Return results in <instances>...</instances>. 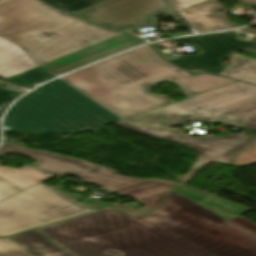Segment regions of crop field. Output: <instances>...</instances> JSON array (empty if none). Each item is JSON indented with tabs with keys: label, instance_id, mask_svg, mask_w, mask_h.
<instances>
[{
	"label": "crop field",
	"instance_id": "26",
	"mask_svg": "<svg viewBox=\"0 0 256 256\" xmlns=\"http://www.w3.org/2000/svg\"><path fill=\"white\" fill-rule=\"evenodd\" d=\"M231 222L243 227L244 229L256 234V225L243 219L242 217H237L235 219L230 220Z\"/></svg>",
	"mask_w": 256,
	"mask_h": 256
},
{
	"label": "crop field",
	"instance_id": "16",
	"mask_svg": "<svg viewBox=\"0 0 256 256\" xmlns=\"http://www.w3.org/2000/svg\"><path fill=\"white\" fill-rule=\"evenodd\" d=\"M0 177L14 184L21 190H25L47 178L54 176L44 174L27 166L16 170L0 166Z\"/></svg>",
	"mask_w": 256,
	"mask_h": 256
},
{
	"label": "crop field",
	"instance_id": "19",
	"mask_svg": "<svg viewBox=\"0 0 256 256\" xmlns=\"http://www.w3.org/2000/svg\"><path fill=\"white\" fill-rule=\"evenodd\" d=\"M55 76L51 75L50 73L46 72L41 67H35L27 72L19 74L17 76L9 78L10 80L16 81L26 87H33L36 84L49 80Z\"/></svg>",
	"mask_w": 256,
	"mask_h": 256
},
{
	"label": "crop field",
	"instance_id": "1",
	"mask_svg": "<svg viewBox=\"0 0 256 256\" xmlns=\"http://www.w3.org/2000/svg\"><path fill=\"white\" fill-rule=\"evenodd\" d=\"M249 210L183 185L147 216L105 209L41 230L76 256H256V236L228 221Z\"/></svg>",
	"mask_w": 256,
	"mask_h": 256
},
{
	"label": "crop field",
	"instance_id": "8",
	"mask_svg": "<svg viewBox=\"0 0 256 256\" xmlns=\"http://www.w3.org/2000/svg\"><path fill=\"white\" fill-rule=\"evenodd\" d=\"M116 124L143 135L175 143H183L193 148L198 153L199 157L193 163L189 174L177 178L184 184L188 182L194 173L208 161L230 164L236 154L256 140V136H244L239 134L194 138L182 134L179 130L175 129L157 128L127 123L124 121Z\"/></svg>",
	"mask_w": 256,
	"mask_h": 256
},
{
	"label": "crop field",
	"instance_id": "10",
	"mask_svg": "<svg viewBox=\"0 0 256 256\" xmlns=\"http://www.w3.org/2000/svg\"><path fill=\"white\" fill-rule=\"evenodd\" d=\"M139 44H142V42L129 35L121 34L103 43L95 44L60 59L41 65V67L58 76L90 62L111 56Z\"/></svg>",
	"mask_w": 256,
	"mask_h": 256
},
{
	"label": "crop field",
	"instance_id": "12",
	"mask_svg": "<svg viewBox=\"0 0 256 256\" xmlns=\"http://www.w3.org/2000/svg\"><path fill=\"white\" fill-rule=\"evenodd\" d=\"M218 10L224 9L216 0H210L182 11L180 14L198 33L230 28L226 12L220 14ZM205 12H209L210 15H204Z\"/></svg>",
	"mask_w": 256,
	"mask_h": 256
},
{
	"label": "crop field",
	"instance_id": "27",
	"mask_svg": "<svg viewBox=\"0 0 256 256\" xmlns=\"http://www.w3.org/2000/svg\"><path fill=\"white\" fill-rule=\"evenodd\" d=\"M62 183H64V182H60V183H58V184H56V185H54V186H52V187H53L54 189H56V190H58V191L64 193V194H66V195H68V196L74 198V199L77 200V201L86 199V197L79 196V195H76V194H72V193H70V192H68V191H63L64 187L61 186Z\"/></svg>",
	"mask_w": 256,
	"mask_h": 256
},
{
	"label": "crop field",
	"instance_id": "17",
	"mask_svg": "<svg viewBox=\"0 0 256 256\" xmlns=\"http://www.w3.org/2000/svg\"><path fill=\"white\" fill-rule=\"evenodd\" d=\"M233 65L221 73L220 76L233 78L256 84V60L233 55Z\"/></svg>",
	"mask_w": 256,
	"mask_h": 256
},
{
	"label": "crop field",
	"instance_id": "20",
	"mask_svg": "<svg viewBox=\"0 0 256 256\" xmlns=\"http://www.w3.org/2000/svg\"><path fill=\"white\" fill-rule=\"evenodd\" d=\"M54 7L73 13L88 6L101 3L107 0H44Z\"/></svg>",
	"mask_w": 256,
	"mask_h": 256
},
{
	"label": "crop field",
	"instance_id": "7",
	"mask_svg": "<svg viewBox=\"0 0 256 256\" xmlns=\"http://www.w3.org/2000/svg\"><path fill=\"white\" fill-rule=\"evenodd\" d=\"M253 105H256V85L237 82L125 120L170 127L189 120L209 121ZM159 115L168 120L156 119Z\"/></svg>",
	"mask_w": 256,
	"mask_h": 256
},
{
	"label": "crop field",
	"instance_id": "3",
	"mask_svg": "<svg viewBox=\"0 0 256 256\" xmlns=\"http://www.w3.org/2000/svg\"><path fill=\"white\" fill-rule=\"evenodd\" d=\"M118 34L39 0H0V35L18 44L38 66Z\"/></svg>",
	"mask_w": 256,
	"mask_h": 256
},
{
	"label": "crop field",
	"instance_id": "25",
	"mask_svg": "<svg viewBox=\"0 0 256 256\" xmlns=\"http://www.w3.org/2000/svg\"><path fill=\"white\" fill-rule=\"evenodd\" d=\"M172 5L178 10H183L207 0H169Z\"/></svg>",
	"mask_w": 256,
	"mask_h": 256
},
{
	"label": "crop field",
	"instance_id": "18",
	"mask_svg": "<svg viewBox=\"0 0 256 256\" xmlns=\"http://www.w3.org/2000/svg\"><path fill=\"white\" fill-rule=\"evenodd\" d=\"M212 122L256 131V107Z\"/></svg>",
	"mask_w": 256,
	"mask_h": 256
},
{
	"label": "crop field",
	"instance_id": "11",
	"mask_svg": "<svg viewBox=\"0 0 256 256\" xmlns=\"http://www.w3.org/2000/svg\"><path fill=\"white\" fill-rule=\"evenodd\" d=\"M175 41L187 43L197 49L205 50L226 59H230L233 53L240 49L256 51V42L238 40L235 31L175 39Z\"/></svg>",
	"mask_w": 256,
	"mask_h": 256
},
{
	"label": "crop field",
	"instance_id": "23",
	"mask_svg": "<svg viewBox=\"0 0 256 256\" xmlns=\"http://www.w3.org/2000/svg\"><path fill=\"white\" fill-rule=\"evenodd\" d=\"M14 185L0 179V201L20 192Z\"/></svg>",
	"mask_w": 256,
	"mask_h": 256
},
{
	"label": "crop field",
	"instance_id": "9",
	"mask_svg": "<svg viewBox=\"0 0 256 256\" xmlns=\"http://www.w3.org/2000/svg\"><path fill=\"white\" fill-rule=\"evenodd\" d=\"M167 5L163 0H111L75 14L104 27L131 33L134 28L156 26L158 14L179 23L178 16Z\"/></svg>",
	"mask_w": 256,
	"mask_h": 256
},
{
	"label": "crop field",
	"instance_id": "2",
	"mask_svg": "<svg viewBox=\"0 0 256 256\" xmlns=\"http://www.w3.org/2000/svg\"><path fill=\"white\" fill-rule=\"evenodd\" d=\"M62 79L123 119L173 103L164 95L149 93V88L165 81L181 86L188 98L235 82L182 72L147 45Z\"/></svg>",
	"mask_w": 256,
	"mask_h": 256
},
{
	"label": "crop field",
	"instance_id": "30",
	"mask_svg": "<svg viewBox=\"0 0 256 256\" xmlns=\"http://www.w3.org/2000/svg\"><path fill=\"white\" fill-rule=\"evenodd\" d=\"M166 42L172 43V44H174V45H177V44H182V43H178V42H175V41H170V40H168V41H166Z\"/></svg>",
	"mask_w": 256,
	"mask_h": 256
},
{
	"label": "crop field",
	"instance_id": "13",
	"mask_svg": "<svg viewBox=\"0 0 256 256\" xmlns=\"http://www.w3.org/2000/svg\"><path fill=\"white\" fill-rule=\"evenodd\" d=\"M35 66L19 46L0 36V78H9Z\"/></svg>",
	"mask_w": 256,
	"mask_h": 256
},
{
	"label": "crop field",
	"instance_id": "22",
	"mask_svg": "<svg viewBox=\"0 0 256 256\" xmlns=\"http://www.w3.org/2000/svg\"><path fill=\"white\" fill-rule=\"evenodd\" d=\"M256 162V143L239 154L232 165L245 166Z\"/></svg>",
	"mask_w": 256,
	"mask_h": 256
},
{
	"label": "crop field",
	"instance_id": "28",
	"mask_svg": "<svg viewBox=\"0 0 256 256\" xmlns=\"http://www.w3.org/2000/svg\"><path fill=\"white\" fill-rule=\"evenodd\" d=\"M85 205H87L88 207L92 208V209H99V208H103V207H107L109 206L108 204H105L103 202L94 200L92 198H90L88 201H86L85 203H83Z\"/></svg>",
	"mask_w": 256,
	"mask_h": 256
},
{
	"label": "crop field",
	"instance_id": "4",
	"mask_svg": "<svg viewBox=\"0 0 256 256\" xmlns=\"http://www.w3.org/2000/svg\"><path fill=\"white\" fill-rule=\"evenodd\" d=\"M118 120V117L63 81L53 80L11 108L5 118V126L10 129L4 130V134H79Z\"/></svg>",
	"mask_w": 256,
	"mask_h": 256
},
{
	"label": "crop field",
	"instance_id": "24",
	"mask_svg": "<svg viewBox=\"0 0 256 256\" xmlns=\"http://www.w3.org/2000/svg\"><path fill=\"white\" fill-rule=\"evenodd\" d=\"M20 93H15L8 90H3L0 88V115L2 111L5 109L7 104ZM14 100V99H13Z\"/></svg>",
	"mask_w": 256,
	"mask_h": 256
},
{
	"label": "crop field",
	"instance_id": "29",
	"mask_svg": "<svg viewBox=\"0 0 256 256\" xmlns=\"http://www.w3.org/2000/svg\"><path fill=\"white\" fill-rule=\"evenodd\" d=\"M243 2L246 5L255 6L256 7V0H237Z\"/></svg>",
	"mask_w": 256,
	"mask_h": 256
},
{
	"label": "crop field",
	"instance_id": "15",
	"mask_svg": "<svg viewBox=\"0 0 256 256\" xmlns=\"http://www.w3.org/2000/svg\"><path fill=\"white\" fill-rule=\"evenodd\" d=\"M9 238L34 256H70L36 230Z\"/></svg>",
	"mask_w": 256,
	"mask_h": 256
},
{
	"label": "crop field",
	"instance_id": "5",
	"mask_svg": "<svg viewBox=\"0 0 256 256\" xmlns=\"http://www.w3.org/2000/svg\"><path fill=\"white\" fill-rule=\"evenodd\" d=\"M14 152L39 161L32 166L34 168L44 170L59 177L75 175L80 177L85 183L99 185L109 191L126 195L145 203V207L141 211H136L125 205L111 206L128 213L130 216L148 213L162 203L171 187L181 185L160 179L121 177L117 175V172L107 167H100L84 160L63 157L51 152L25 149L4 141L0 147V154L7 155Z\"/></svg>",
	"mask_w": 256,
	"mask_h": 256
},
{
	"label": "crop field",
	"instance_id": "6",
	"mask_svg": "<svg viewBox=\"0 0 256 256\" xmlns=\"http://www.w3.org/2000/svg\"><path fill=\"white\" fill-rule=\"evenodd\" d=\"M91 212L39 183L0 202V237Z\"/></svg>",
	"mask_w": 256,
	"mask_h": 256
},
{
	"label": "crop field",
	"instance_id": "14",
	"mask_svg": "<svg viewBox=\"0 0 256 256\" xmlns=\"http://www.w3.org/2000/svg\"><path fill=\"white\" fill-rule=\"evenodd\" d=\"M152 45L160 54L161 56L172 63L173 65L188 71H197V72H204L209 74H216L220 75L223 68L225 67L222 62L223 58H220L218 56H214L210 53L201 51L200 53L196 55H190V56H183L180 58H177L175 60L168 58L161 52L159 47L164 45H159L158 43H152Z\"/></svg>",
	"mask_w": 256,
	"mask_h": 256
},
{
	"label": "crop field",
	"instance_id": "21",
	"mask_svg": "<svg viewBox=\"0 0 256 256\" xmlns=\"http://www.w3.org/2000/svg\"><path fill=\"white\" fill-rule=\"evenodd\" d=\"M0 256H33L8 238L0 239Z\"/></svg>",
	"mask_w": 256,
	"mask_h": 256
}]
</instances>
